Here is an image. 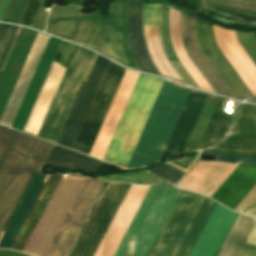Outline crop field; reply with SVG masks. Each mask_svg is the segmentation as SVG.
Returning a JSON list of instances; mask_svg holds the SVG:
<instances>
[{
    "instance_id": "c21b1889",
    "label": "crop field",
    "mask_w": 256,
    "mask_h": 256,
    "mask_svg": "<svg viewBox=\"0 0 256 256\" xmlns=\"http://www.w3.org/2000/svg\"><path fill=\"white\" fill-rule=\"evenodd\" d=\"M10 0H0V21L2 20L4 13L7 9Z\"/></svg>"
},
{
    "instance_id": "8a807250",
    "label": "crop field",
    "mask_w": 256,
    "mask_h": 256,
    "mask_svg": "<svg viewBox=\"0 0 256 256\" xmlns=\"http://www.w3.org/2000/svg\"><path fill=\"white\" fill-rule=\"evenodd\" d=\"M54 145L0 126V235L35 170Z\"/></svg>"
},
{
    "instance_id": "22f410ed",
    "label": "crop field",
    "mask_w": 256,
    "mask_h": 256,
    "mask_svg": "<svg viewBox=\"0 0 256 256\" xmlns=\"http://www.w3.org/2000/svg\"><path fill=\"white\" fill-rule=\"evenodd\" d=\"M138 73L126 70L96 141L90 152V156L102 159L132 88L138 77Z\"/></svg>"
},
{
    "instance_id": "5142ce71",
    "label": "crop field",
    "mask_w": 256,
    "mask_h": 256,
    "mask_svg": "<svg viewBox=\"0 0 256 256\" xmlns=\"http://www.w3.org/2000/svg\"><path fill=\"white\" fill-rule=\"evenodd\" d=\"M108 62V60L97 56L66 130L59 143L60 145L70 148L72 147Z\"/></svg>"
},
{
    "instance_id": "4177f3b9",
    "label": "crop field",
    "mask_w": 256,
    "mask_h": 256,
    "mask_svg": "<svg viewBox=\"0 0 256 256\" xmlns=\"http://www.w3.org/2000/svg\"><path fill=\"white\" fill-rule=\"evenodd\" d=\"M170 33L176 55L194 81L200 89L214 92L188 56L181 38L180 12L172 8H170Z\"/></svg>"
},
{
    "instance_id": "ac0d7876",
    "label": "crop field",
    "mask_w": 256,
    "mask_h": 256,
    "mask_svg": "<svg viewBox=\"0 0 256 256\" xmlns=\"http://www.w3.org/2000/svg\"><path fill=\"white\" fill-rule=\"evenodd\" d=\"M189 91L164 82L126 168L147 166L160 159Z\"/></svg>"
},
{
    "instance_id": "a9b5d70f",
    "label": "crop field",
    "mask_w": 256,
    "mask_h": 256,
    "mask_svg": "<svg viewBox=\"0 0 256 256\" xmlns=\"http://www.w3.org/2000/svg\"><path fill=\"white\" fill-rule=\"evenodd\" d=\"M81 7L53 6L50 10L45 32L71 41L81 12Z\"/></svg>"
},
{
    "instance_id": "750c4746",
    "label": "crop field",
    "mask_w": 256,
    "mask_h": 256,
    "mask_svg": "<svg viewBox=\"0 0 256 256\" xmlns=\"http://www.w3.org/2000/svg\"><path fill=\"white\" fill-rule=\"evenodd\" d=\"M161 33L165 51L172 64L175 66V68L182 75L186 82L196 84L190 77V75L187 73V71L184 69V67L181 65V63L178 61L173 50L169 34V8L166 6H161Z\"/></svg>"
},
{
    "instance_id": "120bbe31",
    "label": "crop field",
    "mask_w": 256,
    "mask_h": 256,
    "mask_svg": "<svg viewBox=\"0 0 256 256\" xmlns=\"http://www.w3.org/2000/svg\"><path fill=\"white\" fill-rule=\"evenodd\" d=\"M76 45H73V44H71V43H68V42H65V41H61V43H60V45H59V47H58V49H57V51H56V53H55V55H54V57H53V60H52V62H51V65H52V63H53V61H55V62H58V63H61V64H63V65H66V66H68L69 65V63H70V60H71V58H72V56H73V54H74V51H75V49H76ZM51 65H50V67H51ZM49 70H50V68H49ZM49 70H48V72H49ZM48 72H47V74H48ZM47 74H46V76H47ZM45 79H46V77H45ZM45 79H44V81H45ZM44 81H43V83H44ZM42 86H43V84H42ZM42 86H41V88H42ZM41 88H40V90H41ZM39 93H40V91H39ZM39 93H38V95H39ZM38 95H37V97H38ZM56 95V94H55ZM37 97H36V99H37ZM54 100V99H53ZM35 102H36V100H35ZM35 102H34V104H35ZM53 102V101H52ZM34 104H33V106H34ZM52 104V103H51ZM51 106V105H50ZM32 109H33V107H32ZM32 109H31V111H32ZM50 109V108H49ZM31 111H30V113H31ZM49 111V110H48ZM48 113V112H47ZM29 116H30V114H29ZM29 116H28V118H29ZM46 116H47V114H46ZM46 118V117H45ZM28 120V119H27ZM45 120V119H44ZM27 122V121H26ZM43 123H44V121H43ZM43 123H42V125H43ZM25 125H26V123H25ZM42 125H41V127H42ZM25 127V126H24ZM24 129V128H23ZM41 129V128H40ZM23 131V130H22ZM25 132V131H24ZM39 132H40V130H39ZM39 132H38V134H39ZM27 133V132H26ZM30 134V133H29ZM38 134H37V136H38ZM31 135H33V134H31Z\"/></svg>"
},
{
    "instance_id": "bd1437ed",
    "label": "crop field",
    "mask_w": 256,
    "mask_h": 256,
    "mask_svg": "<svg viewBox=\"0 0 256 256\" xmlns=\"http://www.w3.org/2000/svg\"><path fill=\"white\" fill-rule=\"evenodd\" d=\"M224 99L225 98H223V97L220 98L199 149L209 147V146L213 145L214 143H216L218 140H220V138L222 136V132L226 126V123H227L229 117H230L219 110Z\"/></svg>"
},
{
    "instance_id": "b54c1fbb",
    "label": "crop field",
    "mask_w": 256,
    "mask_h": 256,
    "mask_svg": "<svg viewBox=\"0 0 256 256\" xmlns=\"http://www.w3.org/2000/svg\"><path fill=\"white\" fill-rule=\"evenodd\" d=\"M186 1H189V2H192V3H194V4H197V5L202 6V4H201V1H200V0H186ZM202 7H203V6H202Z\"/></svg>"
},
{
    "instance_id": "b80d0937",
    "label": "crop field",
    "mask_w": 256,
    "mask_h": 256,
    "mask_svg": "<svg viewBox=\"0 0 256 256\" xmlns=\"http://www.w3.org/2000/svg\"><path fill=\"white\" fill-rule=\"evenodd\" d=\"M201 152H208V153H228V154H237V155H245V156H253L256 155V151L253 152H243V151H219V150H213L208 149Z\"/></svg>"
},
{
    "instance_id": "03da06ac",
    "label": "crop field",
    "mask_w": 256,
    "mask_h": 256,
    "mask_svg": "<svg viewBox=\"0 0 256 256\" xmlns=\"http://www.w3.org/2000/svg\"><path fill=\"white\" fill-rule=\"evenodd\" d=\"M241 213L250 214V215H256V204H254L253 206L247 208L246 210H244Z\"/></svg>"
},
{
    "instance_id": "d8731c3e",
    "label": "crop field",
    "mask_w": 256,
    "mask_h": 256,
    "mask_svg": "<svg viewBox=\"0 0 256 256\" xmlns=\"http://www.w3.org/2000/svg\"><path fill=\"white\" fill-rule=\"evenodd\" d=\"M104 182L84 179L44 256H65Z\"/></svg>"
},
{
    "instance_id": "ae1a2a85",
    "label": "crop field",
    "mask_w": 256,
    "mask_h": 256,
    "mask_svg": "<svg viewBox=\"0 0 256 256\" xmlns=\"http://www.w3.org/2000/svg\"><path fill=\"white\" fill-rule=\"evenodd\" d=\"M106 20H89L78 23L74 42L90 45L99 50Z\"/></svg>"
},
{
    "instance_id": "412701ff",
    "label": "crop field",
    "mask_w": 256,
    "mask_h": 256,
    "mask_svg": "<svg viewBox=\"0 0 256 256\" xmlns=\"http://www.w3.org/2000/svg\"><path fill=\"white\" fill-rule=\"evenodd\" d=\"M180 192L150 186L114 256H146Z\"/></svg>"
},
{
    "instance_id": "dafd665d",
    "label": "crop field",
    "mask_w": 256,
    "mask_h": 256,
    "mask_svg": "<svg viewBox=\"0 0 256 256\" xmlns=\"http://www.w3.org/2000/svg\"><path fill=\"white\" fill-rule=\"evenodd\" d=\"M128 35L133 55L142 71L160 75L152 64L142 34V4L128 3Z\"/></svg>"
},
{
    "instance_id": "e1f06a70",
    "label": "crop field",
    "mask_w": 256,
    "mask_h": 256,
    "mask_svg": "<svg viewBox=\"0 0 256 256\" xmlns=\"http://www.w3.org/2000/svg\"><path fill=\"white\" fill-rule=\"evenodd\" d=\"M239 256H256V224L250 233Z\"/></svg>"
},
{
    "instance_id": "28ad6ade",
    "label": "crop field",
    "mask_w": 256,
    "mask_h": 256,
    "mask_svg": "<svg viewBox=\"0 0 256 256\" xmlns=\"http://www.w3.org/2000/svg\"><path fill=\"white\" fill-rule=\"evenodd\" d=\"M114 3L109 4L108 23L101 53L139 70L132 56L127 35V3Z\"/></svg>"
},
{
    "instance_id": "3316defc",
    "label": "crop field",
    "mask_w": 256,
    "mask_h": 256,
    "mask_svg": "<svg viewBox=\"0 0 256 256\" xmlns=\"http://www.w3.org/2000/svg\"><path fill=\"white\" fill-rule=\"evenodd\" d=\"M238 164L197 160L192 170L177 185L178 187L211 196L222 185ZM256 203V186L240 202L234 211H242Z\"/></svg>"
},
{
    "instance_id": "f4fd0767",
    "label": "crop field",
    "mask_w": 256,
    "mask_h": 256,
    "mask_svg": "<svg viewBox=\"0 0 256 256\" xmlns=\"http://www.w3.org/2000/svg\"><path fill=\"white\" fill-rule=\"evenodd\" d=\"M94 55L77 47L39 138L57 142Z\"/></svg>"
},
{
    "instance_id": "dd49c442",
    "label": "crop field",
    "mask_w": 256,
    "mask_h": 256,
    "mask_svg": "<svg viewBox=\"0 0 256 256\" xmlns=\"http://www.w3.org/2000/svg\"><path fill=\"white\" fill-rule=\"evenodd\" d=\"M204 200L182 190L147 256H175Z\"/></svg>"
},
{
    "instance_id": "d32e631a",
    "label": "crop field",
    "mask_w": 256,
    "mask_h": 256,
    "mask_svg": "<svg viewBox=\"0 0 256 256\" xmlns=\"http://www.w3.org/2000/svg\"><path fill=\"white\" fill-rule=\"evenodd\" d=\"M148 171L172 184L176 183L178 179L182 176L183 172L162 163L152 169L145 170Z\"/></svg>"
},
{
    "instance_id": "5d738f31",
    "label": "crop field",
    "mask_w": 256,
    "mask_h": 256,
    "mask_svg": "<svg viewBox=\"0 0 256 256\" xmlns=\"http://www.w3.org/2000/svg\"><path fill=\"white\" fill-rule=\"evenodd\" d=\"M158 70V69H157ZM160 73V72H159ZM161 74V73H160ZM162 76V75H161ZM184 83V82H183Z\"/></svg>"
},
{
    "instance_id": "00972430",
    "label": "crop field",
    "mask_w": 256,
    "mask_h": 256,
    "mask_svg": "<svg viewBox=\"0 0 256 256\" xmlns=\"http://www.w3.org/2000/svg\"><path fill=\"white\" fill-rule=\"evenodd\" d=\"M46 175L36 172L30 186L28 187L22 201L20 202L13 218L11 219L5 233L0 240V248H10L22 223L24 222L30 208L39 194ZM17 237V236H16Z\"/></svg>"
},
{
    "instance_id": "5a996713",
    "label": "crop field",
    "mask_w": 256,
    "mask_h": 256,
    "mask_svg": "<svg viewBox=\"0 0 256 256\" xmlns=\"http://www.w3.org/2000/svg\"><path fill=\"white\" fill-rule=\"evenodd\" d=\"M130 185L113 183L100 198L70 256H93Z\"/></svg>"
},
{
    "instance_id": "cbeb9de0",
    "label": "crop field",
    "mask_w": 256,
    "mask_h": 256,
    "mask_svg": "<svg viewBox=\"0 0 256 256\" xmlns=\"http://www.w3.org/2000/svg\"><path fill=\"white\" fill-rule=\"evenodd\" d=\"M213 31L216 44L254 97H256V66L239 45L236 39L235 31L223 30L214 25Z\"/></svg>"
},
{
    "instance_id": "d1516ede",
    "label": "crop field",
    "mask_w": 256,
    "mask_h": 256,
    "mask_svg": "<svg viewBox=\"0 0 256 256\" xmlns=\"http://www.w3.org/2000/svg\"><path fill=\"white\" fill-rule=\"evenodd\" d=\"M148 188L131 185L94 256H113Z\"/></svg>"
},
{
    "instance_id": "bc2a9ffb",
    "label": "crop field",
    "mask_w": 256,
    "mask_h": 256,
    "mask_svg": "<svg viewBox=\"0 0 256 256\" xmlns=\"http://www.w3.org/2000/svg\"><path fill=\"white\" fill-rule=\"evenodd\" d=\"M212 148L230 150H256V107L241 105L230 134Z\"/></svg>"
},
{
    "instance_id": "d3111659",
    "label": "crop field",
    "mask_w": 256,
    "mask_h": 256,
    "mask_svg": "<svg viewBox=\"0 0 256 256\" xmlns=\"http://www.w3.org/2000/svg\"><path fill=\"white\" fill-rule=\"evenodd\" d=\"M206 200H207V198H206ZM206 200H205V202H206ZM205 202H204V204H205ZM204 204H203V206H204ZM215 204H216V202H214V201L208 199L207 202H206V204H205V206H204V208H203V206H202L203 210H202V208H201L202 212H201V210H200L199 213H198V215L200 214V212H201V214L199 215V217H198V215H197L198 219H197V217H196L197 221H196V219H195L196 223H195V221H194L195 225H194V223H193L194 227H193V225H192L191 228H190V230L192 229V227H193V229L191 230V232H190V230H189L190 234H189V232H188L189 236H188V234H187L188 238H187V236H186L187 240H186V238L184 239L182 245L184 244L185 240H186V242H185V244H184L183 247H182V245H181L182 249H181V247H180L181 251H180V249H179L180 253H179V251H178L177 254H176V256L178 255V253H179L178 256H188V255H189V253H190V251L192 250V248H193V246H194V244H195V242H196V240H197L199 234L201 233V231H202V229H203V227H204V225H205L207 219L209 218V216H210V214H211V212H212V210H213Z\"/></svg>"
},
{
    "instance_id": "0bd39190",
    "label": "crop field",
    "mask_w": 256,
    "mask_h": 256,
    "mask_svg": "<svg viewBox=\"0 0 256 256\" xmlns=\"http://www.w3.org/2000/svg\"><path fill=\"white\" fill-rule=\"evenodd\" d=\"M204 4H206L207 6H209L211 8H214L216 10H220V11H224V12H228V13H232V14H236V15L256 18V14H254V13H250V12H246V11H241V10H236V9L220 6V5L209 3V2H205V1H204Z\"/></svg>"
},
{
    "instance_id": "1d83c4d3",
    "label": "crop field",
    "mask_w": 256,
    "mask_h": 256,
    "mask_svg": "<svg viewBox=\"0 0 256 256\" xmlns=\"http://www.w3.org/2000/svg\"><path fill=\"white\" fill-rule=\"evenodd\" d=\"M18 27L0 24V73L10 53L17 36H14Z\"/></svg>"
},
{
    "instance_id": "e52e79f7",
    "label": "crop field",
    "mask_w": 256,
    "mask_h": 256,
    "mask_svg": "<svg viewBox=\"0 0 256 256\" xmlns=\"http://www.w3.org/2000/svg\"><path fill=\"white\" fill-rule=\"evenodd\" d=\"M125 70L109 62L73 149L89 154Z\"/></svg>"
},
{
    "instance_id": "733c2abd",
    "label": "crop field",
    "mask_w": 256,
    "mask_h": 256,
    "mask_svg": "<svg viewBox=\"0 0 256 256\" xmlns=\"http://www.w3.org/2000/svg\"><path fill=\"white\" fill-rule=\"evenodd\" d=\"M198 20L195 19V31L199 46L204 56L207 58L234 96H250L249 92L217 51L212 40L210 25Z\"/></svg>"
},
{
    "instance_id": "d9b57169",
    "label": "crop field",
    "mask_w": 256,
    "mask_h": 256,
    "mask_svg": "<svg viewBox=\"0 0 256 256\" xmlns=\"http://www.w3.org/2000/svg\"><path fill=\"white\" fill-rule=\"evenodd\" d=\"M207 95L191 90L161 159L182 153Z\"/></svg>"
},
{
    "instance_id": "eef30255",
    "label": "crop field",
    "mask_w": 256,
    "mask_h": 256,
    "mask_svg": "<svg viewBox=\"0 0 256 256\" xmlns=\"http://www.w3.org/2000/svg\"><path fill=\"white\" fill-rule=\"evenodd\" d=\"M100 161L55 145L46 165L74 169L75 166L93 171Z\"/></svg>"
},
{
    "instance_id": "730fd06b",
    "label": "crop field",
    "mask_w": 256,
    "mask_h": 256,
    "mask_svg": "<svg viewBox=\"0 0 256 256\" xmlns=\"http://www.w3.org/2000/svg\"><path fill=\"white\" fill-rule=\"evenodd\" d=\"M255 222L256 217L239 214L218 256H238Z\"/></svg>"
},
{
    "instance_id": "d23c7cc5",
    "label": "crop field",
    "mask_w": 256,
    "mask_h": 256,
    "mask_svg": "<svg viewBox=\"0 0 256 256\" xmlns=\"http://www.w3.org/2000/svg\"><path fill=\"white\" fill-rule=\"evenodd\" d=\"M251 1H256V0H251Z\"/></svg>"
},
{
    "instance_id": "4a817a6b",
    "label": "crop field",
    "mask_w": 256,
    "mask_h": 256,
    "mask_svg": "<svg viewBox=\"0 0 256 256\" xmlns=\"http://www.w3.org/2000/svg\"><path fill=\"white\" fill-rule=\"evenodd\" d=\"M236 214L217 203L190 256H215Z\"/></svg>"
},
{
    "instance_id": "34b2d1b8",
    "label": "crop field",
    "mask_w": 256,
    "mask_h": 256,
    "mask_svg": "<svg viewBox=\"0 0 256 256\" xmlns=\"http://www.w3.org/2000/svg\"><path fill=\"white\" fill-rule=\"evenodd\" d=\"M164 79L140 74L102 160L126 167Z\"/></svg>"
},
{
    "instance_id": "5866460e",
    "label": "crop field",
    "mask_w": 256,
    "mask_h": 256,
    "mask_svg": "<svg viewBox=\"0 0 256 256\" xmlns=\"http://www.w3.org/2000/svg\"><path fill=\"white\" fill-rule=\"evenodd\" d=\"M214 2L246 11L256 12V2L245 1V0H205Z\"/></svg>"
},
{
    "instance_id": "92a150f3",
    "label": "crop field",
    "mask_w": 256,
    "mask_h": 256,
    "mask_svg": "<svg viewBox=\"0 0 256 256\" xmlns=\"http://www.w3.org/2000/svg\"><path fill=\"white\" fill-rule=\"evenodd\" d=\"M193 18L182 13V36L185 48L189 56L191 57V59L194 61V63L197 65V67L200 69V71L203 73V75L206 77V79L209 81V83L212 85L216 92L232 95V93L229 91V89L226 87V85L223 83V81L220 79V77L217 75V73L214 71V69L202 55L194 31Z\"/></svg>"
},
{
    "instance_id": "c035e120",
    "label": "crop field",
    "mask_w": 256,
    "mask_h": 256,
    "mask_svg": "<svg viewBox=\"0 0 256 256\" xmlns=\"http://www.w3.org/2000/svg\"><path fill=\"white\" fill-rule=\"evenodd\" d=\"M172 163H174V164H177V165H179V166H182V167H184V168H186V169H188V167L190 166V164H191V162H189V161H187V160H185V159H183V158H180V159H178V160H176V161H171ZM167 164H169V165H171V166H173V167H175V168H177V169H179V170H181V171H183V172H185L186 171V169H184V168H182V167H179V166H177V165H174V164H172V163H170V162H166Z\"/></svg>"
},
{
    "instance_id": "028f5c9d",
    "label": "crop field",
    "mask_w": 256,
    "mask_h": 256,
    "mask_svg": "<svg viewBox=\"0 0 256 256\" xmlns=\"http://www.w3.org/2000/svg\"><path fill=\"white\" fill-rule=\"evenodd\" d=\"M41 0H29L26 10L19 24L31 26Z\"/></svg>"
},
{
    "instance_id": "214f88e0",
    "label": "crop field",
    "mask_w": 256,
    "mask_h": 256,
    "mask_svg": "<svg viewBox=\"0 0 256 256\" xmlns=\"http://www.w3.org/2000/svg\"><path fill=\"white\" fill-rule=\"evenodd\" d=\"M49 38L38 34L0 123L11 126Z\"/></svg>"
}]
</instances>
